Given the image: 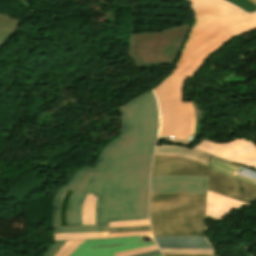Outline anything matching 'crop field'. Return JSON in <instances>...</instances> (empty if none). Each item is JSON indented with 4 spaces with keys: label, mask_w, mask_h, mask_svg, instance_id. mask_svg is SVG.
Returning a JSON list of instances; mask_svg holds the SVG:
<instances>
[{
    "label": "crop field",
    "mask_w": 256,
    "mask_h": 256,
    "mask_svg": "<svg viewBox=\"0 0 256 256\" xmlns=\"http://www.w3.org/2000/svg\"><path fill=\"white\" fill-rule=\"evenodd\" d=\"M191 25L133 35L132 57L140 68L163 64L172 66Z\"/></svg>",
    "instance_id": "obj_4"
},
{
    "label": "crop field",
    "mask_w": 256,
    "mask_h": 256,
    "mask_svg": "<svg viewBox=\"0 0 256 256\" xmlns=\"http://www.w3.org/2000/svg\"><path fill=\"white\" fill-rule=\"evenodd\" d=\"M150 225L148 220L110 223V227Z\"/></svg>",
    "instance_id": "obj_21"
},
{
    "label": "crop field",
    "mask_w": 256,
    "mask_h": 256,
    "mask_svg": "<svg viewBox=\"0 0 256 256\" xmlns=\"http://www.w3.org/2000/svg\"><path fill=\"white\" fill-rule=\"evenodd\" d=\"M209 169L256 185V172L231 164L211 155Z\"/></svg>",
    "instance_id": "obj_12"
},
{
    "label": "crop field",
    "mask_w": 256,
    "mask_h": 256,
    "mask_svg": "<svg viewBox=\"0 0 256 256\" xmlns=\"http://www.w3.org/2000/svg\"><path fill=\"white\" fill-rule=\"evenodd\" d=\"M85 240L67 241L65 245L60 249L56 256H69V254L75 250Z\"/></svg>",
    "instance_id": "obj_18"
},
{
    "label": "crop field",
    "mask_w": 256,
    "mask_h": 256,
    "mask_svg": "<svg viewBox=\"0 0 256 256\" xmlns=\"http://www.w3.org/2000/svg\"><path fill=\"white\" fill-rule=\"evenodd\" d=\"M146 236L86 240L70 256H114L113 253L140 248L155 244L154 241L145 242Z\"/></svg>",
    "instance_id": "obj_8"
},
{
    "label": "crop field",
    "mask_w": 256,
    "mask_h": 256,
    "mask_svg": "<svg viewBox=\"0 0 256 256\" xmlns=\"http://www.w3.org/2000/svg\"><path fill=\"white\" fill-rule=\"evenodd\" d=\"M66 241H55L51 247L46 251L44 256H54Z\"/></svg>",
    "instance_id": "obj_22"
},
{
    "label": "crop field",
    "mask_w": 256,
    "mask_h": 256,
    "mask_svg": "<svg viewBox=\"0 0 256 256\" xmlns=\"http://www.w3.org/2000/svg\"><path fill=\"white\" fill-rule=\"evenodd\" d=\"M153 150V142L122 137L107 145L95 168L76 171L58 190L53 226H61V205L68 190L73 191L67 209L68 226L82 225L81 210L87 193L98 197L96 224L148 219Z\"/></svg>",
    "instance_id": "obj_1"
},
{
    "label": "crop field",
    "mask_w": 256,
    "mask_h": 256,
    "mask_svg": "<svg viewBox=\"0 0 256 256\" xmlns=\"http://www.w3.org/2000/svg\"><path fill=\"white\" fill-rule=\"evenodd\" d=\"M97 198L88 194L82 211L83 225L95 224V206Z\"/></svg>",
    "instance_id": "obj_16"
},
{
    "label": "crop field",
    "mask_w": 256,
    "mask_h": 256,
    "mask_svg": "<svg viewBox=\"0 0 256 256\" xmlns=\"http://www.w3.org/2000/svg\"><path fill=\"white\" fill-rule=\"evenodd\" d=\"M20 22V20L0 13V47L14 34Z\"/></svg>",
    "instance_id": "obj_14"
},
{
    "label": "crop field",
    "mask_w": 256,
    "mask_h": 256,
    "mask_svg": "<svg viewBox=\"0 0 256 256\" xmlns=\"http://www.w3.org/2000/svg\"><path fill=\"white\" fill-rule=\"evenodd\" d=\"M208 160L201 151L156 146L151 175H207Z\"/></svg>",
    "instance_id": "obj_6"
},
{
    "label": "crop field",
    "mask_w": 256,
    "mask_h": 256,
    "mask_svg": "<svg viewBox=\"0 0 256 256\" xmlns=\"http://www.w3.org/2000/svg\"><path fill=\"white\" fill-rule=\"evenodd\" d=\"M164 256H217V255L164 254Z\"/></svg>",
    "instance_id": "obj_25"
},
{
    "label": "crop field",
    "mask_w": 256,
    "mask_h": 256,
    "mask_svg": "<svg viewBox=\"0 0 256 256\" xmlns=\"http://www.w3.org/2000/svg\"><path fill=\"white\" fill-rule=\"evenodd\" d=\"M196 22L174 72L155 89L161 112L159 139L190 144L195 132L192 102H182L186 77L234 37L256 30V12L247 14L223 0H188ZM212 56V55H211Z\"/></svg>",
    "instance_id": "obj_2"
},
{
    "label": "crop field",
    "mask_w": 256,
    "mask_h": 256,
    "mask_svg": "<svg viewBox=\"0 0 256 256\" xmlns=\"http://www.w3.org/2000/svg\"><path fill=\"white\" fill-rule=\"evenodd\" d=\"M208 190L250 203L256 200V186L210 171Z\"/></svg>",
    "instance_id": "obj_9"
},
{
    "label": "crop field",
    "mask_w": 256,
    "mask_h": 256,
    "mask_svg": "<svg viewBox=\"0 0 256 256\" xmlns=\"http://www.w3.org/2000/svg\"><path fill=\"white\" fill-rule=\"evenodd\" d=\"M54 240L108 238V233L53 235Z\"/></svg>",
    "instance_id": "obj_17"
},
{
    "label": "crop field",
    "mask_w": 256,
    "mask_h": 256,
    "mask_svg": "<svg viewBox=\"0 0 256 256\" xmlns=\"http://www.w3.org/2000/svg\"><path fill=\"white\" fill-rule=\"evenodd\" d=\"M120 135L155 141L159 132V112L152 91L121 107Z\"/></svg>",
    "instance_id": "obj_5"
},
{
    "label": "crop field",
    "mask_w": 256,
    "mask_h": 256,
    "mask_svg": "<svg viewBox=\"0 0 256 256\" xmlns=\"http://www.w3.org/2000/svg\"><path fill=\"white\" fill-rule=\"evenodd\" d=\"M207 176H151V192L205 193Z\"/></svg>",
    "instance_id": "obj_10"
},
{
    "label": "crop field",
    "mask_w": 256,
    "mask_h": 256,
    "mask_svg": "<svg viewBox=\"0 0 256 256\" xmlns=\"http://www.w3.org/2000/svg\"><path fill=\"white\" fill-rule=\"evenodd\" d=\"M156 256H162V255L160 254V255H156Z\"/></svg>",
    "instance_id": "obj_29"
},
{
    "label": "crop field",
    "mask_w": 256,
    "mask_h": 256,
    "mask_svg": "<svg viewBox=\"0 0 256 256\" xmlns=\"http://www.w3.org/2000/svg\"><path fill=\"white\" fill-rule=\"evenodd\" d=\"M150 230V226L110 228V233Z\"/></svg>",
    "instance_id": "obj_20"
},
{
    "label": "crop field",
    "mask_w": 256,
    "mask_h": 256,
    "mask_svg": "<svg viewBox=\"0 0 256 256\" xmlns=\"http://www.w3.org/2000/svg\"><path fill=\"white\" fill-rule=\"evenodd\" d=\"M156 249H157V247H154V248H150V249H145V250L131 252V253L117 255V256H131V255L140 254V253H144V252H148V251H152V250H156Z\"/></svg>",
    "instance_id": "obj_24"
},
{
    "label": "crop field",
    "mask_w": 256,
    "mask_h": 256,
    "mask_svg": "<svg viewBox=\"0 0 256 256\" xmlns=\"http://www.w3.org/2000/svg\"><path fill=\"white\" fill-rule=\"evenodd\" d=\"M227 1L237 5L238 7H240L241 9H243L247 12L256 11V5H254L249 0H227Z\"/></svg>",
    "instance_id": "obj_19"
},
{
    "label": "crop field",
    "mask_w": 256,
    "mask_h": 256,
    "mask_svg": "<svg viewBox=\"0 0 256 256\" xmlns=\"http://www.w3.org/2000/svg\"><path fill=\"white\" fill-rule=\"evenodd\" d=\"M160 251L156 250V251H152V252H148V253H144V254H140V255H135V256H151V255H155V254H159Z\"/></svg>",
    "instance_id": "obj_26"
},
{
    "label": "crop field",
    "mask_w": 256,
    "mask_h": 256,
    "mask_svg": "<svg viewBox=\"0 0 256 256\" xmlns=\"http://www.w3.org/2000/svg\"><path fill=\"white\" fill-rule=\"evenodd\" d=\"M205 194L151 193L153 236H203Z\"/></svg>",
    "instance_id": "obj_3"
},
{
    "label": "crop field",
    "mask_w": 256,
    "mask_h": 256,
    "mask_svg": "<svg viewBox=\"0 0 256 256\" xmlns=\"http://www.w3.org/2000/svg\"><path fill=\"white\" fill-rule=\"evenodd\" d=\"M154 246H156V245L149 246V247H144V248H140V249L150 248V247H154ZM140 249H135V250H130V251H126V252L116 253L115 255H117V254H122V253H127V252H131V251H136V250H140Z\"/></svg>",
    "instance_id": "obj_27"
},
{
    "label": "crop field",
    "mask_w": 256,
    "mask_h": 256,
    "mask_svg": "<svg viewBox=\"0 0 256 256\" xmlns=\"http://www.w3.org/2000/svg\"><path fill=\"white\" fill-rule=\"evenodd\" d=\"M194 148L256 169V145L248 140L237 139L227 144H215L204 140Z\"/></svg>",
    "instance_id": "obj_7"
},
{
    "label": "crop field",
    "mask_w": 256,
    "mask_h": 256,
    "mask_svg": "<svg viewBox=\"0 0 256 256\" xmlns=\"http://www.w3.org/2000/svg\"><path fill=\"white\" fill-rule=\"evenodd\" d=\"M162 253L216 254L204 237H154Z\"/></svg>",
    "instance_id": "obj_11"
},
{
    "label": "crop field",
    "mask_w": 256,
    "mask_h": 256,
    "mask_svg": "<svg viewBox=\"0 0 256 256\" xmlns=\"http://www.w3.org/2000/svg\"><path fill=\"white\" fill-rule=\"evenodd\" d=\"M250 1H252L253 3H255V4H256V0H250Z\"/></svg>",
    "instance_id": "obj_28"
},
{
    "label": "crop field",
    "mask_w": 256,
    "mask_h": 256,
    "mask_svg": "<svg viewBox=\"0 0 256 256\" xmlns=\"http://www.w3.org/2000/svg\"><path fill=\"white\" fill-rule=\"evenodd\" d=\"M244 204L247 203L208 191L206 215L219 219L229 211Z\"/></svg>",
    "instance_id": "obj_13"
},
{
    "label": "crop field",
    "mask_w": 256,
    "mask_h": 256,
    "mask_svg": "<svg viewBox=\"0 0 256 256\" xmlns=\"http://www.w3.org/2000/svg\"><path fill=\"white\" fill-rule=\"evenodd\" d=\"M135 235H151V232L144 231V232L116 233V234H110V237L135 236Z\"/></svg>",
    "instance_id": "obj_23"
},
{
    "label": "crop field",
    "mask_w": 256,
    "mask_h": 256,
    "mask_svg": "<svg viewBox=\"0 0 256 256\" xmlns=\"http://www.w3.org/2000/svg\"><path fill=\"white\" fill-rule=\"evenodd\" d=\"M108 232V225L53 228V234Z\"/></svg>",
    "instance_id": "obj_15"
}]
</instances>
